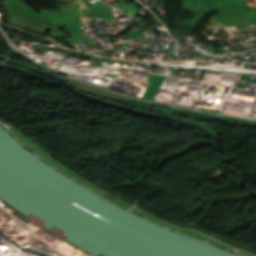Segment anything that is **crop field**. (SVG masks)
I'll return each instance as SVG.
<instances>
[{
	"label": "crop field",
	"instance_id": "8a807250",
	"mask_svg": "<svg viewBox=\"0 0 256 256\" xmlns=\"http://www.w3.org/2000/svg\"><path fill=\"white\" fill-rule=\"evenodd\" d=\"M76 87L82 89V90H86V91H89L91 93H94V94H100V95H105V96H108V97H120V98H126V97H123V96H120V95H117V94H114V93H110V92H107V91H103V90H98V89H94L90 86H87V85H83V84H80V83H77L75 81H72L70 80Z\"/></svg>",
	"mask_w": 256,
	"mask_h": 256
}]
</instances>
